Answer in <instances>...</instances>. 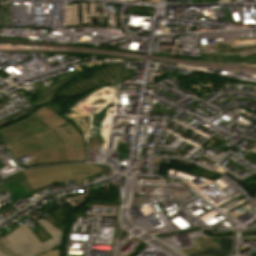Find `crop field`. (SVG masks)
<instances>
[{
    "label": "crop field",
    "instance_id": "crop-field-1",
    "mask_svg": "<svg viewBox=\"0 0 256 256\" xmlns=\"http://www.w3.org/2000/svg\"><path fill=\"white\" fill-rule=\"evenodd\" d=\"M54 102L36 108L26 118L0 128L3 142L15 159L31 155L37 165L86 162V147L77 129L57 113Z\"/></svg>",
    "mask_w": 256,
    "mask_h": 256
},
{
    "label": "crop field",
    "instance_id": "crop-field-2",
    "mask_svg": "<svg viewBox=\"0 0 256 256\" xmlns=\"http://www.w3.org/2000/svg\"><path fill=\"white\" fill-rule=\"evenodd\" d=\"M36 221L52 238L41 243L26 224H23L3 239H0V245L14 256L40 255L57 245H62L64 237L62 232L43 218Z\"/></svg>",
    "mask_w": 256,
    "mask_h": 256
},
{
    "label": "crop field",
    "instance_id": "crop-field-3",
    "mask_svg": "<svg viewBox=\"0 0 256 256\" xmlns=\"http://www.w3.org/2000/svg\"><path fill=\"white\" fill-rule=\"evenodd\" d=\"M23 173L33 192L50 184L75 180L76 184H83L81 179L88 178V174H72L71 164L41 167L23 170Z\"/></svg>",
    "mask_w": 256,
    "mask_h": 256
},
{
    "label": "crop field",
    "instance_id": "crop-field-4",
    "mask_svg": "<svg viewBox=\"0 0 256 256\" xmlns=\"http://www.w3.org/2000/svg\"><path fill=\"white\" fill-rule=\"evenodd\" d=\"M126 73H128V70H122L120 65L115 64L95 71L87 80L79 75L76 79L59 90L57 96L60 98L65 96H78L91 90L94 86L105 85L109 83L113 77H122Z\"/></svg>",
    "mask_w": 256,
    "mask_h": 256
},
{
    "label": "crop field",
    "instance_id": "crop-field-5",
    "mask_svg": "<svg viewBox=\"0 0 256 256\" xmlns=\"http://www.w3.org/2000/svg\"><path fill=\"white\" fill-rule=\"evenodd\" d=\"M197 248L181 250L187 256H227L231 253L232 238L194 240Z\"/></svg>",
    "mask_w": 256,
    "mask_h": 256
},
{
    "label": "crop field",
    "instance_id": "crop-field-6",
    "mask_svg": "<svg viewBox=\"0 0 256 256\" xmlns=\"http://www.w3.org/2000/svg\"><path fill=\"white\" fill-rule=\"evenodd\" d=\"M106 167L104 165L72 164L73 173H89V175L97 173Z\"/></svg>",
    "mask_w": 256,
    "mask_h": 256
},
{
    "label": "crop field",
    "instance_id": "crop-field-7",
    "mask_svg": "<svg viewBox=\"0 0 256 256\" xmlns=\"http://www.w3.org/2000/svg\"><path fill=\"white\" fill-rule=\"evenodd\" d=\"M61 250H62V246L59 247V249L57 251H50V252H47L43 255H40V256H61Z\"/></svg>",
    "mask_w": 256,
    "mask_h": 256
},
{
    "label": "crop field",
    "instance_id": "crop-field-8",
    "mask_svg": "<svg viewBox=\"0 0 256 256\" xmlns=\"http://www.w3.org/2000/svg\"><path fill=\"white\" fill-rule=\"evenodd\" d=\"M0 256H10L5 250L0 247Z\"/></svg>",
    "mask_w": 256,
    "mask_h": 256
}]
</instances>
